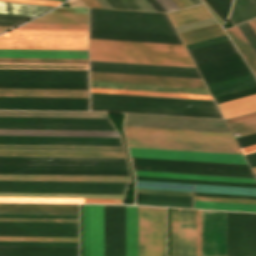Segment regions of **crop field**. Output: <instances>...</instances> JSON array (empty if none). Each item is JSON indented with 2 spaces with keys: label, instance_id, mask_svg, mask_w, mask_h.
I'll use <instances>...</instances> for the list:
<instances>
[{
  "label": "crop field",
  "instance_id": "obj_1",
  "mask_svg": "<svg viewBox=\"0 0 256 256\" xmlns=\"http://www.w3.org/2000/svg\"><path fill=\"white\" fill-rule=\"evenodd\" d=\"M90 60L194 67L176 44L90 39Z\"/></svg>",
  "mask_w": 256,
  "mask_h": 256
},
{
  "label": "crop field",
  "instance_id": "obj_2",
  "mask_svg": "<svg viewBox=\"0 0 256 256\" xmlns=\"http://www.w3.org/2000/svg\"><path fill=\"white\" fill-rule=\"evenodd\" d=\"M0 49L87 50V31L13 29L0 35Z\"/></svg>",
  "mask_w": 256,
  "mask_h": 256
},
{
  "label": "crop field",
  "instance_id": "obj_3",
  "mask_svg": "<svg viewBox=\"0 0 256 256\" xmlns=\"http://www.w3.org/2000/svg\"><path fill=\"white\" fill-rule=\"evenodd\" d=\"M90 29L177 34L167 14L90 9Z\"/></svg>",
  "mask_w": 256,
  "mask_h": 256
},
{
  "label": "crop field",
  "instance_id": "obj_4",
  "mask_svg": "<svg viewBox=\"0 0 256 256\" xmlns=\"http://www.w3.org/2000/svg\"><path fill=\"white\" fill-rule=\"evenodd\" d=\"M131 157L247 164L243 155L128 148ZM133 158L132 163L250 170L248 165Z\"/></svg>",
  "mask_w": 256,
  "mask_h": 256
},
{
  "label": "crop field",
  "instance_id": "obj_5",
  "mask_svg": "<svg viewBox=\"0 0 256 256\" xmlns=\"http://www.w3.org/2000/svg\"><path fill=\"white\" fill-rule=\"evenodd\" d=\"M197 68L212 97L256 86L255 78L240 55L198 65Z\"/></svg>",
  "mask_w": 256,
  "mask_h": 256
},
{
  "label": "crop field",
  "instance_id": "obj_6",
  "mask_svg": "<svg viewBox=\"0 0 256 256\" xmlns=\"http://www.w3.org/2000/svg\"><path fill=\"white\" fill-rule=\"evenodd\" d=\"M139 256H166L165 208L138 207Z\"/></svg>",
  "mask_w": 256,
  "mask_h": 256
},
{
  "label": "crop field",
  "instance_id": "obj_7",
  "mask_svg": "<svg viewBox=\"0 0 256 256\" xmlns=\"http://www.w3.org/2000/svg\"><path fill=\"white\" fill-rule=\"evenodd\" d=\"M124 126L230 133L223 120L126 114Z\"/></svg>",
  "mask_w": 256,
  "mask_h": 256
},
{
  "label": "crop field",
  "instance_id": "obj_8",
  "mask_svg": "<svg viewBox=\"0 0 256 256\" xmlns=\"http://www.w3.org/2000/svg\"><path fill=\"white\" fill-rule=\"evenodd\" d=\"M227 256H256V214L227 212Z\"/></svg>",
  "mask_w": 256,
  "mask_h": 256
},
{
  "label": "crop field",
  "instance_id": "obj_9",
  "mask_svg": "<svg viewBox=\"0 0 256 256\" xmlns=\"http://www.w3.org/2000/svg\"><path fill=\"white\" fill-rule=\"evenodd\" d=\"M0 236L78 237V223L0 222Z\"/></svg>",
  "mask_w": 256,
  "mask_h": 256
},
{
  "label": "crop field",
  "instance_id": "obj_10",
  "mask_svg": "<svg viewBox=\"0 0 256 256\" xmlns=\"http://www.w3.org/2000/svg\"><path fill=\"white\" fill-rule=\"evenodd\" d=\"M172 256H196L195 210L172 209Z\"/></svg>",
  "mask_w": 256,
  "mask_h": 256
},
{
  "label": "crop field",
  "instance_id": "obj_11",
  "mask_svg": "<svg viewBox=\"0 0 256 256\" xmlns=\"http://www.w3.org/2000/svg\"><path fill=\"white\" fill-rule=\"evenodd\" d=\"M104 256H125V206L104 205Z\"/></svg>",
  "mask_w": 256,
  "mask_h": 256
},
{
  "label": "crop field",
  "instance_id": "obj_12",
  "mask_svg": "<svg viewBox=\"0 0 256 256\" xmlns=\"http://www.w3.org/2000/svg\"><path fill=\"white\" fill-rule=\"evenodd\" d=\"M0 109L88 110V98L0 97Z\"/></svg>",
  "mask_w": 256,
  "mask_h": 256
},
{
  "label": "crop field",
  "instance_id": "obj_13",
  "mask_svg": "<svg viewBox=\"0 0 256 256\" xmlns=\"http://www.w3.org/2000/svg\"><path fill=\"white\" fill-rule=\"evenodd\" d=\"M0 81L88 82V70L0 69Z\"/></svg>",
  "mask_w": 256,
  "mask_h": 256
},
{
  "label": "crop field",
  "instance_id": "obj_14",
  "mask_svg": "<svg viewBox=\"0 0 256 256\" xmlns=\"http://www.w3.org/2000/svg\"><path fill=\"white\" fill-rule=\"evenodd\" d=\"M124 130L126 137L236 144L231 134L131 127Z\"/></svg>",
  "mask_w": 256,
  "mask_h": 256
},
{
  "label": "crop field",
  "instance_id": "obj_15",
  "mask_svg": "<svg viewBox=\"0 0 256 256\" xmlns=\"http://www.w3.org/2000/svg\"><path fill=\"white\" fill-rule=\"evenodd\" d=\"M126 140H127L128 147H136V148L242 154L238 145L133 139V138H126Z\"/></svg>",
  "mask_w": 256,
  "mask_h": 256
},
{
  "label": "crop field",
  "instance_id": "obj_16",
  "mask_svg": "<svg viewBox=\"0 0 256 256\" xmlns=\"http://www.w3.org/2000/svg\"><path fill=\"white\" fill-rule=\"evenodd\" d=\"M84 256H103V205H84Z\"/></svg>",
  "mask_w": 256,
  "mask_h": 256
},
{
  "label": "crop field",
  "instance_id": "obj_17",
  "mask_svg": "<svg viewBox=\"0 0 256 256\" xmlns=\"http://www.w3.org/2000/svg\"><path fill=\"white\" fill-rule=\"evenodd\" d=\"M90 80L206 88L202 79L193 78L90 72Z\"/></svg>",
  "mask_w": 256,
  "mask_h": 256
},
{
  "label": "crop field",
  "instance_id": "obj_18",
  "mask_svg": "<svg viewBox=\"0 0 256 256\" xmlns=\"http://www.w3.org/2000/svg\"><path fill=\"white\" fill-rule=\"evenodd\" d=\"M90 105L220 113L217 106H209V105H193V104H177V103H161V102H145V101H129V100H113V99H97V98H90ZM189 105L190 107H188Z\"/></svg>",
  "mask_w": 256,
  "mask_h": 256
},
{
  "label": "crop field",
  "instance_id": "obj_19",
  "mask_svg": "<svg viewBox=\"0 0 256 256\" xmlns=\"http://www.w3.org/2000/svg\"><path fill=\"white\" fill-rule=\"evenodd\" d=\"M136 188L256 195V189H253V188L221 187V186L143 182V181H136Z\"/></svg>",
  "mask_w": 256,
  "mask_h": 256
},
{
  "label": "crop field",
  "instance_id": "obj_20",
  "mask_svg": "<svg viewBox=\"0 0 256 256\" xmlns=\"http://www.w3.org/2000/svg\"><path fill=\"white\" fill-rule=\"evenodd\" d=\"M0 214L78 215V205L0 204Z\"/></svg>",
  "mask_w": 256,
  "mask_h": 256
},
{
  "label": "crop field",
  "instance_id": "obj_21",
  "mask_svg": "<svg viewBox=\"0 0 256 256\" xmlns=\"http://www.w3.org/2000/svg\"><path fill=\"white\" fill-rule=\"evenodd\" d=\"M90 38L182 44L178 35L90 30Z\"/></svg>",
  "mask_w": 256,
  "mask_h": 256
},
{
  "label": "crop field",
  "instance_id": "obj_22",
  "mask_svg": "<svg viewBox=\"0 0 256 256\" xmlns=\"http://www.w3.org/2000/svg\"><path fill=\"white\" fill-rule=\"evenodd\" d=\"M0 135L119 137V135L116 133V131H82V130H14V129H0Z\"/></svg>",
  "mask_w": 256,
  "mask_h": 256
},
{
  "label": "crop field",
  "instance_id": "obj_23",
  "mask_svg": "<svg viewBox=\"0 0 256 256\" xmlns=\"http://www.w3.org/2000/svg\"><path fill=\"white\" fill-rule=\"evenodd\" d=\"M238 28L240 29V31L242 32V34L244 35V37L246 38L254 52L256 53V41L254 40V38L244 25V23L238 25ZM238 28L237 26H235L231 29H228L226 32L233 40L238 50L240 51V53L242 54V56L244 57V59L254 72V74L256 75V55Z\"/></svg>",
  "mask_w": 256,
  "mask_h": 256
},
{
  "label": "crop field",
  "instance_id": "obj_24",
  "mask_svg": "<svg viewBox=\"0 0 256 256\" xmlns=\"http://www.w3.org/2000/svg\"><path fill=\"white\" fill-rule=\"evenodd\" d=\"M132 165H133L134 170H144V171H161V172H178V173H195V174L254 177L252 171H243V170L191 168V167H174V166H157V165H140V164H132Z\"/></svg>",
  "mask_w": 256,
  "mask_h": 256
},
{
  "label": "crop field",
  "instance_id": "obj_25",
  "mask_svg": "<svg viewBox=\"0 0 256 256\" xmlns=\"http://www.w3.org/2000/svg\"><path fill=\"white\" fill-rule=\"evenodd\" d=\"M90 87L209 95L207 89L90 81Z\"/></svg>",
  "mask_w": 256,
  "mask_h": 256
},
{
  "label": "crop field",
  "instance_id": "obj_26",
  "mask_svg": "<svg viewBox=\"0 0 256 256\" xmlns=\"http://www.w3.org/2000/svg\"><path fill=\"white\" fill-rule=\"evenodd\" d=\"M189 53L195 65L239 54L231 40L189 50Z\"/></svg>",
  "mask_w": 256,
  "mask_h": 256
},
{
  "label": "crop field",
  "instance_id": "obj_27",
  "mask_svg": "<svg viewBox=\"0 0 256 256\" xmlns=\"http://www.w3.org/2000/svg\"><path fill=\"white\" fill-rule=\"evenodd\" d=\"M0 57L88 59L87 51L0 50Z\"/></svg>",
  "mask_w": 256,
  "mask_h": 256
},
{
  "label": "crop field",
  "instance_id": "obj_28",
  "mask_svg": "<svg viewBox=\"0 0 256 256\" xmlns=\"http://www.w3.org/2000/svg\"><path fill=\"white\" fill-rule=\"evenodd\" d=\"M0 150L123 152L122 147L51 146V145H4V144H0Z\"/></svg>",
  "mask_w": 256,
  "mask_h": 256
},
{
  "label": "crop field",
  "instance_id": "obj_29",
  "mask_svg": "<svg viewBox=\"0 0 256 256\" xmlns=\"http://www.w3.org/2000/svg\"><path fill=\"white\" fill-rule=\"evenodd\" d=\"M0 179H6V180H56V181H105V182H129L130 181L129 177L6 175V174H0Z\"/></svg>",
  "mask_w": 256,
  "mask_h": 256
},
{
  "label": "crop field",
  "instance_id": "obj_30",
  "mask_svg": "<svg viewBox=\"0 0 256 256\" xmlns=\"http://www.w3.org/2000/svg\"><path fill=\"white\" fill-rule=\"evenodd\" d=\"M0 173L129 176L128 171H104V170H55V169H6V168H0Z\"/></svg>",
  "mask_w": 256,
  "mask_h": 256
},
{
  "label": "crop field",
  "instance_id": "obj_31",
  "mask_svg": "<svg viewBox=\"0 0 256 256\" xmlns=\"http://www.w3.org/2000/svg\"><path fill=\"white\" fill-rule=\"evenodd\" d=\"M0 96L88 97V90L0 89Z\"/></svg>",
  "mask_w": 256,
  "mask_h": 256
},
{
  "label": "crop field",
  "instance_id": "obj_32",
  "mask_svg": "<svg viewBox=\"0 0 256 256\" xmlns=\"http://www.w3.org/2000/svg\"><path fill=\"white\" fill-rule=\"evenodd\" d=\"M174 27L212 18L204 5H198L179 11L168 13Z\"/></svg>",
  "mask_w": 256,
  "mask_h": 256
},
{
  "label": "crop field",
  "instance_id": "obj_33",
  "mask_svg": "<svg viewBox=\"0 0 256 256\" xmlns=\"http://www.w3.org/2000/svg\"><path fill=\"white\" fill-rule=\"evenodd\" d=\"M126 256H138L137 207L126 206Z\"/></svg>",
  "mask_w": 256,
  "mask_h": 256
},
{
  "label": "crop field",
  "instance_id": "obj_34",
  "mask_svg": "<svg viewBox=\"0 0 256 256\" xmlns=\"http://www.w3.org/2000/svg\"><path fill=\"white\" fill-rule=\"evenodd\" d=\"M0 155H6V156H54V157L125 158L123 153H88V152H17V151H0Z\"/></svg>",
  "mask_w": 256,
  "mask_h": 256
},
{
  "label": "crop field",
  "instance_id": "obj_35",
  "mask_svg": "<svg viewBox=\"0 0 256 256\" xmlns=\"http://www.w3.org/2000/svg\"><path fill=\"white\" fill-rule=\"evenodd\" d=\"M223 118L256 110V94L217 105Z\"/></svg>",
  "mask_w": 256,
  "mask_h": 256
},
{
  "label": "crop field",
  "instance_id": "obj_36",
  "mask_svg": "<svg viewBox=\"0 0 256 256\" xmlns=\"http://www.w3.org/2000/svg\"><path fill=\"white\" fill-rule=\"evenodd\" d=\"M54 7L0 2V14L36 17Z\"/></svg>",
  "mask_w": 256,
  "mask_h": 256
},
{
  "label": "crop field",
  "instance_id": "obj_37",
  "mask_svg": "<svg viewBox=\"0 0 256 256\" xmlns=\"http://www.w3.org/2000/svg\"><path fill=\"white\" fill-rule=\"evenodd\" d=\"M90 71L201 78L199 73L113 68V67L90 66Z\"/></svg>",
  "mask_w": 256,
  "mask_h": 256
},
{
  "label": "crop field",
  "instance_id": "obj_38",
  "mask_svg": "<svg viewBox=\"0 0 256 256\" xmlns=\"http://www.w3.org/2000/svg\"><path fill=\"white\" fill-rule=\"evenodd\" d=\"M221 35H225V32L218 23L179 33L184 45Z\"/></svg>",
  "mask_w": 256,
  "mask_h": 256
},
{
  "label": "crop field",
  "instance_id": "obj_39",
  "mask_svg": "<svg viewBox=\"0 0 256 256\" xmlns=\"http://www.w3.org/2000/svg\"><path fill=\"white\" fill-rule=\"evenodd\" d=\"M134 173H135V175H144V176H159V177H174V178H189V179H203V180H218V181L256 183L255 178H245V177H228V176H211V175H194V174H177V173H160V172H142V171H134Z\"/></svg>",
  "mask_w": 256,
  "mask_h": 256
},
{
  "label": "crop field",
  "instance_id": "obj_40",
  "mask_svg": "<svg viewBox=\"0 0 256 256\" xmlns=\"http://www.w3.org/2000/svg\"><path fill=\"white\" fill-rule=\"evenodd\" d=\"M0 163L6 164H55V165H103V166H127L125 162L107 161H70V160H15L0 159Z\"/></svg>",
  "mask_w": 256,
  "mask_h": 256
},
{
  "label": "crop field",
  "instance_id": "obj_41",
  "mask_svg": "<svg viewBox=\"0 0 256 256\" xmlns=\"http://www.w3.org/2000/svg\"><path fill=\"white\" fill-rule=\"evenodd\" d=\"M0 116L107 118L105 113H73V112H11V111H0Z\"/></svg>",
  "mask_w": 256,
  "mask_h": 256
},
{
  "label": "crop field",
  "instance_id": "obj_42",
  "mask_svg": "<svg viewBox=\"0 0 256 256\" xmlns=\"http://www.w3.org/2000/svg\"><path fill=\"white\" fill-rule=\"evenodd\" d=\"M90 110L222 118L221 114L90 106Z\"/></svg>",
  "mask_w": 256,
  "mask_h": 256
},
{
  "label": "crop field",
  "instance_id": "obj_43",
  "mask_svg": "<svg viewBox=\"0 0 256 256\" xmlns=\"http://www.w3.org/2000/svg\"><path fill=\"white\" fill-rule=\"evenodd\" d=\"M0 201H16V202H86V203H121L122 199H87V198H17V197H0Z\"/></svg>",
  "mask_w": 256,
  "mask_h": 256
},
{
  "label": "crop field",
  "instance_id": "obj_44",
  "mask_svg": "<svg viewBox=\"0 0 256 256\" xmlns=\"http://www.w3.org/2000/svg\"><path fill=\"white\" fill-rule=\"evenodd\" d=\"M256 17V10L248 0H234L229 21L233 26Z\"/></svg>",
  "mask_w": 256,
  "mask_h": 256
},
{
  "label": "crop field",
  "instance_id": "obj_45",
  "mask_svg": "<svg viewBox=\"0 0 256 256\" xmlns=\"http://www.w3.org/2000/svg\"><path fill=\"white\" fill-rule=\"evenodd\" d=\"M30 22L87 24V14L46 13Z\"/></svg>",
  "mask_w": 256,
  "mask_h": 256
},
{
  "label": "crop field",
  "instance_id": "obj_46",
  "mask_svg": "<svg viewBox=\"0 0 256 256\" xmlns=\"http://www.w3.org/2000/svg\"><path fill=\"white\" fill-rule=\"evenodd\" d=\"M90 92L212 100L211 96L90 88Z\"/></svg>",
  "mask_w": 256,
  "mask_h": 256
},
{
  "label": "crop field",
  "instance_id": "obj_47",
  "mask_svg": "<svg viewBox=\"0 0 256 256\" xmlns=\"http://www.w3.org/2000/svg\"><path fill=\"white\" fill-rule=\"evenodd\" d=\"M0 128L114 130L113 126H79V125H13V124H0Z\"/></svg>",
  "mask_w": 256,
  "mask_h": 256
},
{
  "label": "crop field",
  "instance_id": "obj_48",
  "mask_svg": "<svg viewBox=\"0 0 256 256\" xmlns=\"http://www.w3.org/2000/svg\"><path fill=\"white\" fill-rule=\"evenodd\" d=\"M4 140H51V141H98V142H121L120 138H85V137H15L0 136Z\"/></svg>",
  "mask_w": 256,
  "mask_h": 256
},
{
  "label": "crop field",
  "instance_id": "obj_49",
  "mask_svg": "<svg viewBox=\"0 0 256 256\" xmlns=\"http://www.w3.org/2000/svg\"><path fill=\"white\" fill-rule=\"evenodd\" d=\"M194 208L256 212V205L194 201Z\"/></svg>",
  "mask_w": 256,
  "mask_h": 256
},
{
  "label": "crop field",
  "instance_id": "obj_50",
  "mask_svg": "<svg viewBox=\"0 0 256 256\" xmlns=\"http://www.w3.org/2000/svg\"><path fill=\"white\" fill-rule=\"evenodd\" d=\"M90 65L197 72L196 68L90 61Z\"/></svg>",
  "mask_w": 256,
  "mask_h": 256
},
{
  "label": "crop field",
  "instance_id": "obj_51",
  "mask_svg": "<svg viewBox=\"0 0 256 256\" xmlns=\"http://www.w3.org/2000/svg\"><path fill=\"white\" fill-rule=\"evenodd\" d=\"M6 168H55V169H104V170H128L127 167H103V166H54V165H6Z\"/></svg>",
  "mask_w": 256,
  "mask_h": 256
},
{
  "label": "crop field",
  "instance_id": "obj_52",
  "mask_svg": "<svg viewBox=\"0 0 256 256\" xmlns=\"http://www.w3.org/2000/svg\"><path fill=\"white\" fill-rule=\"evenodd\" d=\"M233 135L240 136L252 134L256 132V117L229 123L228 124Z\"/></svg>",
  "mask_w": 256,
  "mask_h": 256
},
{
  "label": "crop field",
  "instance_id": "obj_53",
  "mask_svg": "<svg viewBox=\"0 0 256 256\" xmlns=\"http://www.w3.org/2000/svg\"><path fill=\"white\" fill-rule=\"evenodd\" d=\"M136 200L192 203L191 197L136 193Z\"/></svg>",
  "mask_w": 256,
  "mask_h": 256
},
{
  "label": "crop field",
  "instance_id": "obj_54",
  "mask_svg": "<svg viewBox=\"0 0 256 256\" xmlns=\"http://www.w3.org/2000/svg\"><path fill=\"white\" fill-rule=\"evenodd\" d=\"M0 62L88 64V60L0 58Z\"/></svg>",
  "mask_w": 256,
  "mask_h": 256
},
{
  "label": "crop field",
  "instance_id": "obj_55",
  "mask_svg": "<svg viewBox=\"0 0 256 256\" xmlns=\"http://www.w3.org/2000/svg\"><path fill=\"white\" fill-rule=\"evenodd\" d=\"M108 3L113 8H123V9H137V10H153L155 11L152 6L146 1V0H140L142 4L147 8H145L139 0H135L138 5L142 8H140L134 0H107Z\"/></svg>",
  "mask_w": 256,
  "mask_h": 256
},
{
  "label": "crop field",
  "instance_id": "obj_56",
  "mask_svg": "<svg viewBox=\"0 0 256 256\" xmlns=\"http://www.w3.org/2000/svg\"><path fill=\"white\" fill-rule=\"evenodd\" d=\"M17 28L87 30V25L25 23Z\"/></svg>",
  "mask_w": 256,
  "mask_h": 256
},
{
  "label": "crop field",
  "instance_id": "obj_57",
  "mask_svg": "<svg viewBox=\"0 0 256 256\" xmlns=\"http://www.w3.org/2000/svg\"><path fill=\"white\" fill-rule=\"evenodd\" d=\"M205 1L219 15V17L223 21H225L228 15L232 0H205Z\"/></svg>",
  "mask_w": 256,
  "mask_h": 256
},
{
  "label": "crop field",
  "instance_id": "obj_58",
  "mask_svg": "<svg viewBox=\"0 0 256 256\" xmlns=\"http://www.w3.org/2000/svg\"><path fill=\"white\" fill-rule=\"evenodd\" d=\"M0 241L78 242V238L0 237Z\"/></svg>",
  "mask_w": 256,
  "mask_h": 256
},
{
  "label": "crop field",
  "instance_id": "obj_59",
  "mask_svg": "<svg viewBox=\"0 0 256 256\" xmlns=\"http://www.w3.org/2000/svg\"><path fill=\"white\" fill-rule=\"evenodd\" d=\"M31 18L29 17H19V16H8V15H0V25L1 26H10L15 27L18 24L27 21Z\"/></svg>",
  "mask_w": 256,
  "mask_h": 256
},
{
  "label": "crop field",
  "instance_id": "obj_60",
  "mask_svg": "<svg viewBox=\"0 0 256 256\" xmlns=\"http://www.w3.org/2000/svg\"><path fill=\"white\" fill-rule=\"evenodd\" d=\"M194 200L256 204V200L194 196Z\"/></svg>",
  "mask_w": 256,
  "mask_h": 256
},
{
  "label": "crop field",
  "instance_id": "obj_61",
  "mask_svg": "<svg viewBox=\"0 0 256 256\" xmlns=\"http://www.w3.org/2000/svg\"><path fill=\"white\" fill-rule=\"evenodd\" d=\"M0 221H47V222H78V219H47V218H0Z\"/></svg>",
  "mask_w": 256,
  "mask_h": 256
},
{
  "label": "crop field",
  "instance_id": "obj_62",
  "mask_svg": "<svg viewBox=\"0 0 256 256\" xmlns=\"http://www.w3.org/2000/svg\"><path fill=\"white\" fill-rule=\"evenodd\" d=\"M0 245H47V246H78V243H47V242H0Z\"/></svg>",
  "mask_w": 256,
  "mask_h": 256
},
{
  "label": "crop field",
  "instance_id": "obj_63",
  "mask_svg": "<svg viewBox=\"0 0 256 256\" xmlns=\"http://www.w3.org/2000/svg\"><path fill=\"white\" fill-rule=\"evenodd\" d=\"M0 158H16V159H70V160H107V161H125V159H101V158H53V157H5Z\"/></svg>",
  "mask_w": 256,
  "mask_h": 256
},
{
  "label": "crop field",
  "instance_id": "obj_64",
  "mask_svg": "<svg viewBox=\"0 0 256 256\" xmlns=\"http://www.w3.org/2000/svg\"><path fill=\"white\" fill-rule=\"evenodd\" d=\"M225 40H229L227 35L209 39V40L202 41V42H198V43H194V44H190V45H186V48H187V50H189V49H193V48H197V47H201V46H205V45H209V44H213V43H217V42H221V41H225Z\"/></svg>",
  "mask_w": 256,
  "mask_h": 256
},
{
  "label": "crop field",
  "instance_id": "obj_65",
  "mask_svg": "<svg viewBox=\"0 0 256 256\" xmlns=\"http://www.w3.org/2000/svg\"><path fill=\"white\" fill-rule=\"evenodd\" d=\"M0 1L31 3V4H41V5H51V6H58L60 3H62L58 1H48V0H0Z\"/></svg>",
  "mask_w": 256,
  "mask_h": 256
},
{
  "label": "crop field",
  "instance_id": "obj_66",
  "mask_svg": "<svg viewBox=\"0 0 256 256\" xmlns=\"http://www.w3.org/2000/svg\"><path fill=\"white\" fill-rule=\"evenodd\" d=\"M236 141L239 144L240 148L256 144V134L236 138Z\"/></svg>",
  "mask_w": 256,
  "mask_h": 256
},
{
  "label": "crop field",
  "instance_id": "obj_67",
  "mask_svg": "<svg viewBox=\"0 0 256 256\" xmlns=\"http://www.w3.org/2000/svg\"><path fill=\"white\" fill-rule=\"evenodd\" d=\"M136 192L192 196V192H176V191H160V190H144V189H136Z\"/></svg>",
  "mask_w": 256,
  "mask_h": 256
},
{
  "label": "crop field",
  "instance_id": "obj_68",
  "mask_svg": "<svg viewBox=\"0 0 256 256\" xmlns=\"http://www.w3.org/2000/svg\"><path fill=\"white\" fill-rule=\"evenodd\" d=\"M0 217L78 218V216H54V215H0Z\"/></svg>",
  "mask_w": 256,
  "mask_h": 256
},
{
  "label": "crop field",
  "instance_id": "obj_69",
  "mask_svg": "<svg viewBox=\"0 0 256 256\" xmlns=\"http://www.w3.org/2000/svg\"><path fill=\"white\" fill-rule=\"evenodd\" d=\"M157 1L168 12L179 9L172 0H157Z\"/></svg>",
  "mask_w": 256,
  "mask_h": 256
},
{
  "label": "crop field",
  "instance_id": "obj_70",
  "mask_svg": "<svg viewBox=\"0 0 256 256\" xmlns=\"http://www.w3.org/2000/svg\"><path fill=\"white\" fill-rule=\"evenodd\" d=\"M245 158L249 163L250 167L256 166V153L245 155Z\"/></svg>",
  "mask_w": 256,
  "mask_h": 256
},
{
  "label": "crop field",
  "instance_id": "obj_71",
  "mask_svg": "<svg viewBox=\"0 0 256 256\" xmlns=\"http://www.w3.org/2000/svg\"><path fill=\"white\" fill-rule=\"evenodd\" d=\"M256 116V112L255 113H251V114H247V115H243V116H239V117H235V118H231V119H227L226 122H233V121H237V120H241V119H245V118H249V117H253Z\"/></svg>",
  "mask_w": 256,
  "mask_h": 256
},
{
  "label": "crop field",
  "instance_id": "obj_72",
  "mask_svg": "<svg viewBox=\"0 0 256 256\" xmlns=\"http://www.w3.org/2000/svg\"><path fill=\"white\" fill-rule=\"evenodd\" d=\"M241 150H242L244 155L249 154V153H253V152H256V145L246 147V148H242Z\"/></svg>",
  "mask_w": 256,
  "mask_h": 256
},
{
  "label": "crop field",
  "instance_id": "obj_73",
  "mask_svg": "<svg viewBox=\"0 0 256 256\" xmlns=\"http://www.w3.org/2000/svg\"><path fill=\"white\" fill-rule=\"evenodd\" d=\"M152 6L153 8L156 10V11H162V12H165L161 6L155 1V0H147Z\"/></svg>",
  "mask_w": 256,
  "mask_h": 256
},
{
  "label": "crop field",
  "instance_id": "obj_74",
  "mask_svg": "<svg viewBox=\"0 0 256 256\" xmlns=\"http://www.w3.org/2000/svg\"><path fill=\"white\" fill-rule=\"evenodd\" d=\"M249 24L251 25V27L256 33V19L249 21Z\"/></svg>",
  "mask_w": 256,
  "mask_h": 256
},
{
  "label": "crop field",
  "instance_id": "obj_75",
  "mask_svg": "<svg viewBox=\"0 0 256 256\" xmlns=\"http://www.w3.org/2000/svg\"><path fill=\"white\" fill-rule=\"evenodd\" d=\"M245 25L247 26V28L249 29V31L251 32V34L253 35V37L256 40V34L254 33V31L252 30V28L250 27V25L248 24V22H245Z\"/></svg>",
  "mask_w": 256,
  "mask_h": 256
},
{
  "label": "crop field",
  "instance_id": "obj_76",
  "mask_svg": "<svg viewBox=\"0 0 256 256\" xmlns=\"http://www.w3.org/2000/svg\"><path fill=\"white\" fill-rule=\"evenodd\" d=\"M186 7L193 6L190 0H181Z\"/></svg>",
  "mask_w": 256,
  "mask_h": 256
},
{
  "label": "crop field",
  "instance_id": "obj_77",
  "mask_svg": "<svg viewBox=\"0 0 256 256\" xmlns=\"http://www.w3.org/2000/svg\"><path fill=\"white\" fill-rule=\"evenodd\" d=\"M173 1L177 4V6H178L180 9L185 8V6L181 3L180 0H173Z\"/></svg>",
  "mask_w": 256,
  "mask_h": 256
},
{
  "label": "crop field",
  "instance_id": "obj_78",
  "mask_svg": "<svg viewBox=\"0 0 256 256\" xmlns=\"http://www.w3.org/2000/svg\"><path fill=\"white\" fill-rule=\"evenodd\" d=\"M8 29H11V28H10V27H1V26H0V32L6 31V30H8Z\"/></svg>",
  "mask_w": 256,
  "mask_h": 256
},
{
  "label": "crop field",
  "instance_id": "obj_79",
  "mask_svg": "<svg viewBox=\"0 0 256 256\" xmlns=\"http://www.w3.org/2000/svg\"><path fill=\"white\" fill-rule=\"evenodd\" d=\"M191 2H192L194 5L201 3L199 0H191Z\"/></svg>",
  "mask_w": 256,
  "mask_h": 256
},
{
  "label": "crop field",
  "instance_id": "obj_80",
  "mask_svg": "<svg viewBox=\"0 0 256 256\" xmlns=\"http://www.w3.org/2000/svg\"><path fill=\"white\" fill-rule=\"evenodd\" d=\"M251 2V4L255 7L256 9V2L254 0H249Z\"/></svg>",
  "mask_w": 256,
  "mask_h": 256
},
{
  "label": "crop field",
  "instance_id": "obj_81",
  "mask_svg": "<svg viewBox=\"0 0 256 256\" xmlns=\"http://www.w3.org/2000/svg\"><path fill=\"white\" fill-rule=\"evenodd\" d=\"M254 174H256V167H252Z\"/></svg>",
  "mask_w": 256,
  "mask_h": 256
},
{
  "label": "crop field",
  "instance_id": "obj_82",
  "mask_svg": "<svg viewBox=\"0 0 256 256\" xmlns=\"http://www.w3.org/2000/svg\"><path fill=\"white\" fill-rule=\"evenodd\" d=\"M256 1V0H255Z\"/></svg>",
  "mask_w": 256,
  "mask_h": 256
},
{
  "label": "crop field",
  "instance_id": "obj_83",
  "mask_svg": "<svg viewBox=\"0 0 256 256\" xmlns=\"http://www.w3.org/2000/svg\"><path fill=\"white\" fill-rule=\"evenodd\" d=\"M256 176V175H255Z\"/></svg>",
  "mask_w": 256,
  "mask_h": 256
}]
</instances>
